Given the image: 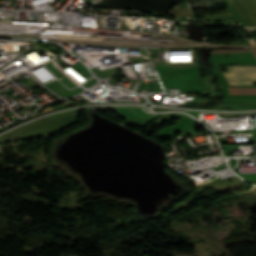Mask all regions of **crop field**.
I'll list each match as a JSON object with an SVG mask.
<instances>
[{"label":"crop field","instance_id":"obj_1","mask_svg":"<svg viewBox=\"0 0 256 256\" xmlns=\"http://www.w3.org/2000/svg\"><path fill=\"white\" fill-rule=\"evenodd\" d=\"M77 116L78 113L73 112L40 120L0 138V144L15 140L39 137L54 132L75 124Z\"/></svg>","mask_w":256,"mask_h":256},{"label":"crop field","instance_id":"obj_2","mask_svg":"<svg viewBox=\"0 0 256 256\" xmlns=\"http://www.w3.org/2000/svg\"><path fill=\"white\" fill-rule=\"evenodd\" d=\"M223 75L228 85H252L256 81V66H227Z\"/></svg>","mask_w":256,"mask_h":256},{"label":"crop field","instance_id":"obj_3","mask_svg":"<svg viewBox=\"0 0 256 256\" xmlns=\"http://www.w3.org/2000/svg\"><path fill=\"white\" fill-rule=\"evenodd\" d=\"M230 94L256 95V88H229Z\"/></svg>","mask_w":256,"mask_h":256},{"label":"crop field","instance_id":"obj_4","mask_svg":"<svg viewBox=\"0 0 256 256\" xmlns=\"http://www.w3.org/2000/svg\"><path fill=\"white\" fill-rule=\"evenodd\" d=\"M245 57V56H252L250 52H243V53H223V54H212L211 57Z\"/></svg>","mask_w":256,"mask_h":256},{"label":"crop field","instance_id":"obj_5","mask_svg":"<svg viewBox=\"0 0 256 256\" xmlns=\"http://www.w3.org/2000/svg\"><path fill=\"white\" fill-rule=\"evenodd\" d=\"M242 51H249V50H214L212 53H222V52H242Z\"/></svg>","mask_w":256,"mask_h":256},{"label":"crop field","instance_id":"obj_6","mask_svg":"<svg viewBox=\"0 0 256 256\" xmlns=\"http://www.w3.org/2000/svg\"><path fill=\"white\" fill-rule=\"evenodd\" d=\"M84 109H89V108H84ZM79 110H82V109H79ZM89 110H91V109H89ZM75 111H78V110H75ZM55 115H57V114H55ZM51 116H53V115H51ZM38 121V120H37ZM20 128V127H19ZM18 129V128H17ZM13 131V130H12ZM11 132V131H10ZM9 133V132H8ZM7 134V133H6ZM5 135V134H4ZM3 136V135H2ZM1 137V136H0Z\"/></svg>","mask_w":256,"mask_h":256},{"label":"crop field","instance_id":"obj_7","mask_svg":"<svg viewBox=\"0 0 256 256\" xmlns=\"http://www.w3.org/2000/svg\"><path fill=\"white\" fill-rule=\"evenodd\" d=\"M254 52V54H255V56H256V51H253Z\"/></svg>","mask_w":256,"mask_h":256}]
</instances>
